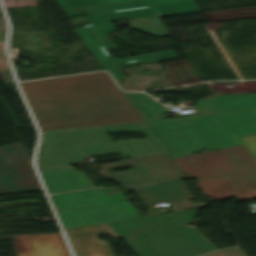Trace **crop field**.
Here are the masks:
<instances>
[{
	"label": "crop field",
	"instance_id": "obj_13",
	"mask_svg": "<svg viewBox=\"0 0 256 256\" xmlns=\"http://www.w3.org/2000/svg\"><path fill=\"white\" fill-rule=\"evenodd\" d=\"M256 107V93L220 94L197 100V113L217 112Z\"/></svg>",
	"mask_w": 256,
	"mask_h": 256
},
{
	"label": "crop field",
	"instance_id": "obj_15",
	"mask_svg": "<svg viewBox=\"0 0 256 256\" xmlns=\"http://www.w3.org/2000/svg\"><path fill=\"white\" fill-rule=\"evenodd\" d=\"M197 184L204 195L215 200H222L235 195L241 201L256 198V189L234 191L227 177L198 178Z\"/></svg>",
	"mask_w": 256,
	"mask_h": 256
},
{
	"label": "crop field",
	"instance_id": "obj_4",
	"mask_svg": "<svg viewBox=\"0 0 256 256\" xmlns=\"http://www.w3.org/2000/svg\"><path fill=\"white\" fill-rule=\"evenodd\" d=\"M145 123L171 158L242 145L239 136L256 134V108L182 118L147 120Z\"/></svg>",
	"mask_w": 256,
	"mask_h": 256
},
{
	"label": "crop field",
	"instance_id": "obj_6",
	"mask_svg": "<svg viewBox=\"0 0 256 256\" xmlns=\"http://www.w3.org/2000/svg\"><path fill=\"white\" fill-rule=\"evenodd\" d=\"M66 229L140 217L117 189H91L51 196Z\"/></svg>",
	"mask_w": 256,
	"mask_h": 256
},
{
	"label": "crop field",
	"instance_id": "obj_11",
	"mask_svg": "<svg viewBox=\"0 0 256 256\" xmlns=\"http://www.w3.org/2000/svg\"><path fill=\"white\" fill-rule=\"evenodd\" d=\"M77 256H113L105 241L96 236L119 237L107 224L66 230Z\"/></svg>",
	"mask_w": 256,
	"mask_h": 256
},
{
	"label": "crop field",
	"instance_id": "obj_18",
	"mask_svg": "<svg viewBox=\"0 0 256 256\" xmlns=\"http://www.w3.org/2000/svg\"><path fill=\"white\" fill-rule=\"evenodd\" d=\"M241 139L256 160V135L243 136Z\"/></svg>",
	"mask_w": 256,
	"mask_h": 256
},
{
	"label": "crop field",
	"instance_id": "obj_1",
	"mask_svg": "<svg viewBox=\"0 0 256 256\" xmlns=\"http://www.w3.org/2000/svg\"><path fill=\"white\" fill-rule=\"evenodd\" d=\"M40 131L142 120L104 72L20 83Z\"/></svg>",
	"mask_w": 256,
	"mask_h": 256
},
{
	"label": "crop field",
	"instance_id": "obj_3",
	"mask_svg": "<svg viewBox=\"0 0 256 256\" xmlns=\"http://www.w3.org/2000/svg\"><path fill=\"white\" fill-rule=\"evenodd\" d=\"M106 131H139L147 138L112 142ZM44 138L38 155L39 169L71 166L86 156L120 153L122 158L164 153L158 139L144 121L78 129L43 132ZM78 165V164H77Z\"/></svg>",
	"mask_w": 256,
	"mask_h": 256
},
{
	"label": "crop field",
	"instance_id": "obj_10",
	"mask_svg": "<svg viewBox=\"0 0 256 256\" xmlns=\"http://www.w3.org/2000/svg\"><path fill=\"white\" fill-rule=\"evenodd\" d=\"M131 189L137 191L148 205L169 201L173 212L207 206L190 203V195L181 180L160 181Z\"/></svg>",
	"mask_w": 256,
	"mask_h": 256
},
{
	"label": "crop field",
	"instance_id": "obj_14",
	"mask_svg": "<svg viewBox=\"0 0 256 256\" xmlns=\"http://www.w3.org/2000/svg\"><path fill=\"white\" fill-rule=\"evenodd\" d=\"M50 193L94 186L81 172L72 167L40 171Z\"/></svg>",
	"mask_w": 256,
	"mask_h": 256
},
{
	"label": "crop field",
	"instance_id": "obj_2",
	"mask_svg": "<svg viewBox=\"0 0 256 256\" xmlns=\"http://www.w3.org/2000/svg\"><path fill=\"white\" fill-rule=\"evenodd\" d=\"M69 15L86 14L91 24L128 19L131 28L162 37L170 35L164 23L148 0H55ZM90 24V25H91ZM76 32L116 81L125 78L118 69L137 64L175 58L173 49L115 60L88 26L75 28Z\"/></svg>",
	"mask_w": 256,
	"mask_h": 256
},
{
	"label": "crop field",
	"instance_id": "obj_19",
	"mask_svg": "<svg viewBox=\"0 0 256 256\" xmlns=\"http://www.w3.org/2000/svg\"><path fill=\"white\" fill-rule=\"evenodd\" d=\"M203 256H245V255L242 253L240 247H238L234 249L222 250V251L206 254Z\"/></svg>",
	"mask_w": 256,
	"mask_h": 256
},
{
	"label": "crop field",
	"instance_id": "obj_17",
	"mask_svg": "<svg viewBox=\"0 0 256 256\" xmlns=\"http://www.w3.org/2000/svg\"><path fill=\"white\" fill-rule=\"evenodd\" d=\"M160 17L198 13L201 10L193 0H149Z\"/></svg>",
	"mask_w": 256,
	"mask_h": 256
},
{
	"label": "crop field",
	"instance_id": "obj_8",
	"mask_svg": "<svg viewBox=\"0 0 256 256\" xmlns=\"http://www.w3.org/2000/svg\"><path fill=\"white\" fill-rule=\"evenodd\" d=\"M134 166L130 171L115 172L111 169ZM103 179L120 183L130 188L160 180L184 179L180 168L168 153L134 157L119 163L105 165L100 170Z\"/></svg>",
	"mask_w": 256,
	"mask_h": 256
},
{
	"label": "crop field",
	"instance_id": "obj_21",
	"mask_svg": "<svg viewBox=\"0 0 256 256\" xmlns=\"http://www.w3.org/2000/svg\"><path fill=\"white\" fill-rule=\"evenodd\" d=\"M161 210L159 208H155V207H148L147 210V215L148 216H153V215H157V214H161Z\"/></svg>",
	"mask_w": 256,
	"mask_h": 256
},
{
	"label": "crop field",
	"instance_id": "obj_22",
	"mask_svg": "<svg viewBox=\"0 0 256 256\" xmlns=\"http://www.w3.org/2000/svg\"><path fill=\"white\" fill-rule=\"evenodd\" d=\"M194 1H201V0H194Z\"/></svg>",
	"mask_w": 256,
	"mask_h": 256
},
{
	"label": "crop field",
	"instance_id": "obj_12",
	"mask_svg": "<svg viewBox=\"0 0 256 256\" xmlns=\"http://www.w3.org/2000/svg\"><path fill=\"white\" fill-rule=\"evenodd\" d=\"M25 253L18 256H70L60 233L18 235Z\"/></svg>",
	"mask_w": 256,
	"mask_h": 256
},
{
	"label": "crop field",
	"instance_id": "obj_16",
	"mask_svg": "<svg viewBox=\"0 0 256 256\" xmlns=\"http://www.w3.org/2000/svg\"><path fill=\"white\" fill-rule=\"evenodd\" d=\"M143 120L163 118V112L167 109L145 93L123 92Z\"/></svg>",
	"mask_w": 256,
	"mask_h": 256
},
{
	"label": "crop field",
	"instance_id": "obj_7",
	"mask_svg": "<svg viewBox=\"0 0 256 256\" xmlns=\"http://www.w3.org/2000/svg\"><path fill=\"white\" fill-rule=\"evenodd\" d=\"M174 160L188 178L228 176L235 190L256 188V162L245 145Z\"/></svg>",
	"mask_w": 256,
	"mask_h": 256
},
{
	"label": "crop field",
	"instance_id": "obj_5",
	"mask_svg": "<svg viewBox=\"0 0 256 256\" xmlns=\"http://www.w3.org/2000/svg\"><path fill=\"white\" fill-rule=\"evenodd\" d=\"M195 214L196 211L193 209L112 222L110 225L139 256H152L154 253L215 250L194 227L186 226L187 223L193 221ZM146 235H151L161 251L158 250L151 238H140Z\"/></svg>",
	"mask_w": 256,
	"mask_h": 256
},
{
	"label": "crop field",
	"instance_id": "obj_9",
	"mask_svg": "<svg viewBox=\"0 0 256 256\" xmlns=\"http://www.w3.org/2000/svg\"><path fill=\"white\" fill-rule=\"evenodd\" d=\"M42 190L22 142L0 147V194Z\"/></svg>",
	"mask_w": 256,
	"mask_h": 256
},
{
	"label": "crop field",
	"instance_id": "obj_20",
	"mask_svg": "<svg viewBox=\"0 0 256 256\" xmlns=\"http://www.w3.org/2000/svg\"><path fill=\"white\" fill-rule=\"evenodd\" d=\"M205 252H195V253H180V254H165V255H155V256H197Z\"/></svg>",
	"mask_w": 256,
	"mask_h": 256
}]
</instances>
